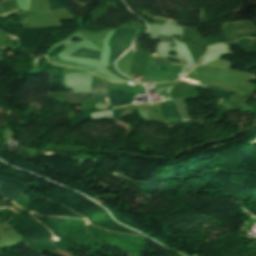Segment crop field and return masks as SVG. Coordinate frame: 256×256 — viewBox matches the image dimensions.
<instances>
[{"instance_id":"crop-field-2","label":"crop field","mask_w":256,"mask_h":256,"mask_svg":"<svg viewBox=\"0 0 256 256\" xmlns=\"http://www.w3.org/2000/svg\"><path fill=\"white\" fill-rule=\"evenodd\" d=\"M109 88L110 84H107L94 78L92 79L91 94L93 96L95 103H106V101L109 102L107 97H105L106 101L104 98V96H108Z\"/></svg>"},{"instance_id":"crop-field-4","label":"crop field","mask_w":256,"mask_h":256,"mask_svg":"<svg viewBox=\"0 0 256 256\" xmlns=\"http://www.w3.org/2000/svg\"><path fill=\"white\" fill-rule=\"evenodd\" d=\"M109 98L111 101V105L115 107L124 106V105L130 104L133 101L132 94L124 95V92H117V91H110Z\"/></svg>"},{"instance_id":"crop-field-1","label":"crop field","mask_w":256,"mask_h":256,"mask_svg":"<svg viewBox=\"0 0 256 256\" xmlns=\"http://www.w3.org/2000/svg\"><path fill=\"white\" fill-rule=\"evenodd\" d=\"M153 56L147 54V68L144 75V80L156 77H178L182 66H174L169 64H152ZM158 67H166L169 71H161Z\"/></svg>"},{"instance_id":"crop-field-7","label":"crop field","mask_w":256,"mask_h":256,"mask_svg":"<svg viewBox=\"0 0 256 256\" xmlns=\"http://www.w3.org/2000/svg\"><path fill=\"white\" fill-rule=\"evenodd\" d=\"M173 98L178 105L183 122L185 123V122L191 121L192 119L190 118V116L188 114L187 107H186L183 99L177 98V97H173Z\"/></svg>"},{"instance_id":"crop-field-10","label":"crop field","mask_w":256,"mask_h":256,"mask_svg":"<svg viewBox=\"0 0 256 256\" xmlns=\"http://www.w3.org/2000/svg\"><path fill=\"white\" fill-rule=\"evenodd\" d=\"M158 41H160V42L174 43L173 40L171 39V37L162 36V35H159Z\"/></svg>"},{"instance_id":"crop-field-6","label":"crop field","mask_w":256,"mask_h":256,"mask_svg":"<svg viewBox=\"0 0 256 256\" xmlns=\"http://www.w3.org/2000/svg\"><path fill=\"white\" fill-rule=\"evenodd\" d=\"M100 53L99 51L87 49L80 47L78 50H76L71 56H77V57H89L100 60Z\"/></svg>"},{"instance_id":"crop-field-11","label":"crop field","mask_w":256,"mask_h":256,"mask_svg":"<svg viewBox=\"0 0 256 256\" xmlns=\"http://www.w3.org/2000/svg\"><path fill=\"white\" fill-rule=\"evenodd\" d=\"M154 63H171L167 59L154 58ZM181 63V62H178Z\"/></svg>"},{"instance_id":"crop-field-8","label":"crop field","mask_w":256,"mask_h":256,"mask_svg":"<svg viewBox=\"0 0 256 256\" xmlns=\"http://www.w3.org/2000/svg\"><path fill=\"white\" fill-rule=\"evenodd\" d=\"M91 94H66L67 102H78L83 99L91 98Z\"/></svg>"},{"instance_id":"crop-field-3","label":"crop field","mask_w":256,"mask_h":256,"mask_svg":"<svg viewBox=\"0 0 256 256\" xmlns=\"http://www.w3.org/2000/svg\"><path fill=\"white\" fill-rule=\"evenodd\" d=\"M161 109L167 125L182 122L179 111L174 101L161 103Z\"/></svg>"},{"instance_id":"crop-field-9","label":"crop field","mask_w":256,"mask_h":256,"mask_svg":"<svg viewBox=\"0 0 256 256\" xmlns=\"http://www.w3.org/2000/svg\"><path fill=\"white\" fill-rule=\"evenodd\" d=\"M125 109H126V107H125V108H119V109L113 110V111H112V112H113V118H112V120L117 121L118 118L120 117L121 112H123Z\"/></svg>"},{"instance_id":"crop-field-5","label":"crop field","mask_w":256,"mask_h":256,"mask_svg":"<svg viewBox=\"0 0 256 256\" xmlns=\"http://www.w3.org/2000/svg\"><path fill=\"white\" fill-rule=\"evenodd\" d=\"M134 30L132 29H123L119 41L117 43V54L116 59L120 57L128 48L130 37ZM116 61V60H115Z\"/></svg>"}]
</instances>
